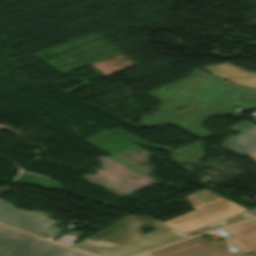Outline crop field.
<instances>
[{
    "instance_id": "8a807250",
    "label": "crop field",
    "mask_w": 256,
    "mask_h": 256,
    "mask_svg": "<svg viewBox=\"0 0 256 256\" xmlns=\"http://www.w3.org/2000/svg\"><path fill=\"white\" fill-rule=\"evenodd\" d=\"M231 103L256 108V89L233 85L209 74L190 107L158 113L138 120L140 128L168 122L200 139L212 132L201 125L214 115H222ZM185 120L180 122V120Z\"/></svg>"
},
{
    "instance_id": "ac0d7876",
    "label": "crop field",
    "mask_w": 256,
    "mask_h": 256,
    "mask_svg": "<svg viewBox=\"0 0 256 256\" xmlns=\"http://www.w3.org/2000/svg\"><path fill=\"white\" fill-rule=\"evenodd\" d=\"M149 217L127 216L107 230L73 246L100 256H133L187 236L157 222V229L147 235L137 231L143 225L153 223Z\"/></svg>"
},
{
    "instance_id": "34b2d1b8",
    "label": "crop field",
    "mask_w": 256,
    "mask_h": 256,
    "mask_svg": "<svg viewBox=\"0 0 256 256\" xmlns=\"http://www.w3.org/2000/svg\"><path fill=\"white\" fill-rule=\"evenodd\" d=\"M185 199L196 211L164 222L182 233L247 211L206 189L191 194Z\"/></svg>"
},
{
    "instance_id": "412701ff",
    "label": "crop field",
    "mask_w": 256,
    "mask_h": 256,
    "mask_svg": "<svg viewBox=\"0 0 256 256\" xmlns=\"http://www.w3.org/2000/svg\"><path fill=\"white\" fill-rule=\"evenodd\" d=\"M69 249L0 224V256H61Z\"/></svg>"
},
{
    "instance_id": "f4fd0767",
    "label": "crop field",
    "mask_w": 256,
    "mask_h": 256,
    "mask_svg": "<svg viewBox=\"0 0 256 256\" xmlns=\"http://www.w3.org/2000/svg\"><path fill=\"white\" fill-rule=\"evenodd\" d=\"M207 76L208 73L195 68L187 78L170 83L146 93L164 103L160 107L159 112H166L187 107L192 103ZM177 82L180 83L165 93L167 89H169Z\"/></svg>"
},
{
    "instance_id": "dd49c442",
    "label": "crop field",
    "mask_w": 256,
    "mask_h": 256,
    "mask_svg": "<svg viewBox=\"0 0 256 256\" xmlns=\"http://www.w3.org/2000/svg\"><path fill=\"white\" fill-rule=\"evenodd\" d=\"M53 214L39 210H20L0 199V222L43 237L47 233L58 236L63 230L51 220Z\"/></svg>"
},
{
    "instance_id": "e52e79f7",
    "label": "crop field",
    "mask_w": 256,
    "mask_h": 256,
    "mask_svg": "<svg viewBox=\"0 0 256 256\" xmlns=\"http://www.w3.org/2000/svg\"><path fill=\"white\" fill-rule=\"evenodd\" d=\"M151 254L154 256H242L238 251L234 253L229 251L223 240L211 244L201 236L156 250Z\"/></svg>"
},
{
    "instance_id": "d8731c3e",
    "label": "crop field",
    "mask_w": 256,
    "mask_h": 256,
    "mask_svg": "<svg viewBox=\"0 0 256 256\" xmlns=\"http://www.w3.org/2000/svg\"><path fill=\"white\" fill-rule=\"evenodd\" d=\"M232 128L241 133L220 145L222 148L244 156L256 147V125L243 121Z\"/></svg>"
},
{
    "instance_id": "5a996713",
    "label": "crop field",
    "mask_w": 256,
    "mask_h": 256,
    "mask_svg": "<svg viewBox=\"0 0 256 256\" xmlns=\"http://www.w3.org/2000/svg\"><path fill=\"white\" fill-rule=\"evenodd\" d=\"M223 229L233 235L227 240L244 254L256 251V219Z\"/></svg>"
},
{
    "instance_id": "3316defc",
    "label": "crop field",
    "mask_w": 256,
    "mask_h": 256,
    "mask_svg": "<svg viewBox=\"0 0 256 256\" xmlns=\"http://www.w3.org/2000/svg\"><path fill=\"white\" fill-rule=\"evenodd\" d=\"M201 68L226 78L233 83L256 88V74L240 69L229 63L201 66Z\"/></svg>"
},
{
    "instance_id": "28ad6ade",
    "label": "crop field",
    "mask_w": 256,
    "mask_h": 256,
    "mask_svg": "<svg viewBox=\"0 0 256 256\" xmlns=\"http://www.w3.org/2000/svg\"><path fill=\"white\" fill-rule=\"evenodd\" d=\"M254 216H256V210L247 211V212L235 215L233 217H230V218L203 226L201 228L189 231L185 234H187L189 236L200 234V233H203V232H206L209 230H213V229H216V228H219V227L231 224V223H235V222H238V221L250 218V217H254Z\"/></svg>"
},
{
    "instance_id": "d1516ede",
    "label": "crop field",
    "mask_w": 256,
    "mask_h": 256,
    "mask_svg": "<svg viewBox=\"0 0 256 256\" xmlns=\"http://www.w3.org/2000/svg\"><path fill=\"white\" fill-rule=\"evenodd\" d=\"M80 235L81 233H77V232H75L72 236L65 235L61 239H59L57 243L71 246Z\"/></svg>"
},
{
    "instance_id": "22f410ed",
    "label": "crop field",
    "mask_w": 256,
    "mask_h": 256,
    "mask_svg": "<svg viewBox=\"0 0 256 256\" xmlns=\"http://www.w3.org/2000/svg\"><path fill=\"white\" fill-rule=\"evenodd\" d=\"M63 256H91V255L71 249L67 253H65Z\"/></svg>"
},
{
    "instance_id": "cbeb9de0",
    "label": "crop field",
    "mask_w": 256,
    "mask_h": 256,
    "mask_svg": "<svg viewBox=\"0 0 256 256\" xmlns=\"http://www.w3.org/2000/svg\"><path fill=\"white\" fill-rule=\"evenodd\" d=\"M247 155L256 161V148L252 150L250 153H248Z\"/></svg>"
},
{
    "instance_id": "5142ce71",
    "label": "crop field",
    "mask_w": 256,
    "mask_h": 256,
    "mask_svg": "<svg viewBox=\"0 0 256 256\" xmlns=\"http://www.w3.org/2000/svg\"><path fill=\"white\" fill-rule=\"evenodd\" d=\"M247 256H256V252H255V253H253V254H251V255H247Z\"/></svg>"
},
{
    "instance_id": "d9b57169",
    "label": "crop field",
    "mask_w": 256,
    "mask_h": 256,
    "mask_svg": "<svg viewBox=\"0 0 256 256\" xmlns=\"http://www.w3.org/2000/svg\"><path fill=\"white\" fill-rule=\"evenodd\" d=\"M142 256H148L147 254H144V255H142Z\"/></svg>"
}]
</instances>
